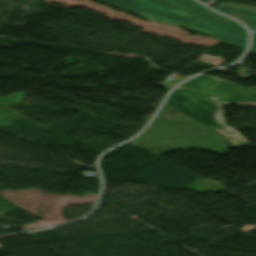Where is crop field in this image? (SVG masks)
Returning <instances> with one entry per match:
<instances>
[{
  "mask_svg": "<svg viewBox=\"0 0 256 256\" xmlns=\"http://www.w3.org/2000/svg\"><path fill=\"white\" fill-rule=\"evenodd\" d=\"M165 104L213 130L225 150L250 144L225 124L221 105L256 106V88L248 89L201 75L177 88Z\"/></svg>",
  "mask_w": 256,
  "mask_h": 256,
  "instance_id": "crop-field-1",
  "label": "crop field"
},
{
  "mask_svg": "<svg viewBox=\"0 0 256 256\" xmlns=\"http://www.w3.org/2000/svg\"><path fill=\"white\" fill-rule=\"evenodd\" d=\"M113 7L135 13L148 20L183 27L208 35L222 43L244 50L247 37L215 26L201 17L156 0H98Z\"/></svg>",
  "mask_w": 256,
  "mask_h": 256,
  "instance_id": "crop-field-2",
  "label": "crop field"
},
{
  "mask_svg": "<svg viewBox=\"0 0 256 256\" xmlns=\"http://www.w3.org/2000/svg\"><path fill=\"white\" fill-rule=\"evenodd\" d=\"M161 1L189 10L191 12L197 13L219 25L229 27L235 30H239L242 32H246L245 29L241 25H239L237 22L215 14L193 0H161Z\"/></svg>",
  "mask_w": 256,
  "mask_h": 256,
  "instance_id": "crop-field-3",
  "label": "crop field"
},
{
  "mask_svg": "<svg viewBox=\"0 0 256 256\" xmlns=\"http://www.w3.org/2000/svg\"><path fill=\"white\" fill-rule=\"evenodd\" d=\"M216 10L231 15L251 27L252 31L256 30V8L240 6L228 3H221Z\"/></svg>",
  "mask_w": 256,
  "mask_h": 256,
  "instance_id": "crop-field-4",
  "label": "crop field"
},
{
  "mask_svg": "<svg viewBox=\"0 0 256 256\" xmlns=\"http://www.w3.org/2000/svg\"><path fill=\"white\" fill-rule=\"evenodd\" d=\"M248 52L256 54V38H254V37H253L252 44H251Z\"/></svg>",
  "mask_w": 256,
  "mask_h": 256,
  "instance_id": "crop-field-5",
  "label": "crop field"
},
{
  "mask_svg": "<svg viewBox=\"0 0 256 256\" xmlns=\"http://www.w3.org/2000/svg\"><path fill=\"white\" fill-rule=\"evenodd\" d=\"M256 36V34H254Z\"/></svg>",
  "mask_w": 256,
  "mask_h": 256,
  "instance_id": "crop-field-6",
  "label": "crop field"
}]
</instances>
